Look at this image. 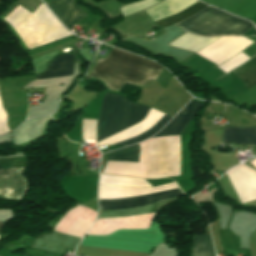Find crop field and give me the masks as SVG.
Here are the masks:
<instances>
[{"mask_svg":"<svg viewBox=\"0 0 256 256\" xmlns=\"http://www.w3.org/2000/svg\"><path fill=\"white\" fill-rule=\"evenodd\" d=\"M162 69L150 61L113 48L104 59H97L89 75L103 81L109 90L120 91L124 82L142 88L145 81L156 80Z\"/></svg>","mask_w":256,"mask_h":256,"instance_id":"1","label":"crop field"},{"mask_svg":"<svg viewBox=\"0 0 256 256\" xmlns=\"http://www.w3.org/2000/svg\"><path fill=\"white\" fill-rule=\"evenodd\" d=\"M3 19L20 37L26 50L71 35L62 28L43 3L32 14L17 6Z\"/></svg>","mask_w":256,"mask_h":256,"instance_id":"2","label":"crop field"},{"mask_svg":"<svg viewBox=\"0 0 256 256\" xmlns=\"http://www.w3.org/2000/svg\"><path fill=\"white\" fill-rule=\"evenodd\" d=\"M148 111L149 108L106 92L97 122V142L137 123Z\"/></svg>","mask_w":256,"mask_h":256,"instance_id":"3","label":"crop field"},{"mask_svg":"<svg viewBox=\"0 0 256 256\" xmlns=\"http://www.w3.org/2000/svg\"><path fill=\"white\" fill-rule=\"evenodd\" d=\"M175 25L203 36L241 35L254 27L248 21L210 6Z\"/></svg>","mask_w":256,"mask_h":256,"instance_id":"4","label":"crop field"},{"mask_svg":"<svg viewBox=\"0 0 256 256\" xmlns=\"http://www.w3.org/2000/svg\"><path fill=\"white\" fill-rule=\"evenodd\" d=\"M179 189L126 199L99 200L100 210H123L152 204L156 201L182 196Z\"/></svg>","mask_w":256,"mask_h":256,"instance_id":"5","label":"crop field"},{"mask_svg":"<svg viewBox=\"0 0 256 256\" xmlns=\"http://www.w3.org/2000/svg\"><path fill=\"white\" fill-rule=\"evenodd\" d=\"M45 4L67 29L86 16L73 0H51Z\"/></svg>","mask_w":256,"mask_h":256,"instance_id":"6","label":"crop field"},{"mask_svg":"<svg viewBox=\"0 0 256 256\" xmlns=\"http://www.w3.org/2000/svg\"><path fill=\"white\" fill-rule=\"evenodd\" d=\"M23 168L0 170V195L21 198L27 184Z\"/></svg>","mask_w":256,"mask_h":256,"instance_id":"7","label":"crop field"},{"mask_svg":"<svg viewBox=\"0 0 256 256\" xmlns=\"http://www.w3.org/2000/svg\"><path fill=\"white\" fill-rule=\"evenodd\" d=\"M78 241V238L48 232L37 237L33 241L32 247L62 253L65 247L74 249Z\"/></svg>","mask_w":256,"mask_h":256,"instance_id":"8","label":"crop field"},{"mask_svg":"<svg viewBox=\"0 0 256 256\" xmlns=\"http://www.w3.org/2000/svg\"><path fill=\"white\" fill-rule=\"evenodd\" d=\"M200 106L201 103L190 100L178 115L153 137L180 134Z\"/></svg>","mask_w":256,"mask_h":256,"instance_id":"9","label":"crop field"},{"mask_svg":"<svg viewBox=\"0 0 256 256\" xmlns=\"http://www.w3.org/2000/svg\"><path fill=\"white\" fill-rule=\"evenodd\" d=\"M74 58V55L56 56L53 61L48 63L46 71L37 75L34 80L71 75Z\"/></svg>","mask_w":256,"mask_h":256,"instance_id":"10","label":"crop field"},{"mask_svg":"<svg viewBox=\"0 0 256 256\" xmlns=\"http://www.w3.org/2000/svg\"><path fill=\"white\" fill-rule=\"evenodd\" d=\"M223 142L256 145V129L224 128Z\"/></svg>","mask_w":256,"mask_h":256,"instance_id":"11","label":"crop field"},{"mask_svg":"<svg viewBox=\"0 0 256 256\" xmlns=\"http://www.w3.org/2000/svg\"><path fill=\"white\" fill-rule=\"evenodd\" d=\"M177 199H179V198L160 201V202H156V203H154L152 205H149V206L130 209V210L100 211L98 218L125 217V216H129V215H137V214L158 212L162 207L176 201Z\"/></svg>","mask_w":256,"mask_h":256,"instance_id":"12","label":"crop field"},{"mask_svg":"<svg viewBox=\"0 0 256 256\" xmlns=\"http://www.w3.org/2000/svg\"><path fill=\"white\" fill-rule=\"evenodd\" d=\"M246 89L256 85V56L232 71Z\"/></svg>","mask_w":256,"mask_h":256,"instance_id":"13","label":"crop field"},{"mask_svg":"<svg viewBox=\"0 0 256 256\" xmlns=\"http://www.w3.org/2000/svg\"><path fill=\"white\" fill-rule=\"evenodd\" d=\"M206 6L207 5L198 1V2L194 3L193 5L189 6L188 8L184 9L183 11H181V12L175 14V15H172L170 17H167L165 19H162L160 21L155 22V24L164 28L168 25H171L175 22H178V21L196 13L197 11L203 9Z\"/></svg>","mask_w":256,"mask_h":256,"instance_id":"14","label":"crop field"},{"mask_svg":"<svg viewBox=\"0 0 256 256\" xmlns=\"http://www.w3.org/2000/svg\"><path fill=\"white\" fill-rule=\"evenodd\" d=\"M192 256H214L209 234L194 236Z\"/></svg>","mask_w":256,"mask_h":256,"instance_id":"15","label":"crop field"},{"mask_svg":"<svg viewBox=\"0 0 256 256\" xmlns=\"http://www.w3.org/2000/svg\"><path fill=\"white\" fill-rule=\"evenodd\" d=\"M172 117L168 116V115H164L160 120H158L151 128H149L148 130H146L145 132L136 135L132 138H129L123 142H120L116 145H122V146H127L130 145L132 143L144 140L146 138H148L149 136L155 134L162 126H164Z\"/></svg>","mask_w":256,"mask_h":256,"instance_id":"16","label":"crop field"},{"mask_svg":"<svg viewBox=\"0 0 256 256\" xmlns=\"http://www.w3.org/2000/svg\"><path fill=\"white\" fill-rule=\"evenodd\" d=\"M138 146H131L109 153L108 160L137 161Z\"/></svg>","mask_w":256,"mask_h":256,"instance_id":"17","label":"crop field"},{"mask_svg":"<svg viewBox=\"0 0 256 256\" xmlns=\"http://www.w3.org/2000/svg\"><path fill=\"white\" fill-rule=\"evenodd\" d=\"M9 128L7 126V115L3 109L1 100H0V134L4 132H9Z\"/></svg>","mask_w":256,"mask_h":256,"instance_id":"18","label":"crop field"},{"mask_svg":"<svg viewBox=\"0 0 256 256\" xmlns=\"http://www.w3.org/2000/svg\"><path fill=\"white\" fill-rule=\"evenodd\" d=\"M3 223H4V222H0V231H1V229H2Z\"/></svg>","mask_w":256,"mask_h":256,"instance_id":"19","label":"crop field"}]
</instances>
